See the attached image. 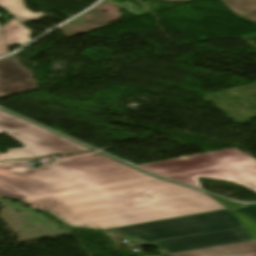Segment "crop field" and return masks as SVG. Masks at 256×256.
Segmentation results:
<instances>
[{"label": "crop field", "mask_w": 256, "mask_h": 256, "mask_svg": "<svg viewBox=\"0 0 256 256\" xmlns=\"http://www.w3.org/2000/svg\"><path fill=\"white\" fill-rule=\"evenodd\" d=\"M31 161L0 162V197L49 211L74 227L103 230L226 208L98 153L37 168L26 165Z\"/></svg>", "instance_id": "crop-field-1"}, {"label": "crop field", "mask_w": 256, "mask_h": 256, "mask_svg": "<svg viewBox=\"0 0 256 256\" xmlns=\"http://www.w3.org/2000/svg\"><path fill=\"white\" fill-rule=\"evenodd\" d=\"M138 167L199 188L197 178L205 176L240 183L256 191V160L236 148Z\"/></svg>", "instance_id": "crop-field-2"}, {"label": "crop field", "mask_w": 256, "mask_h": 256, "mask_svg": "<svg viewBox=\"0 0 256 256\" xmlns=\"http://www.w3.org/2000/svg\"><path fill=\"white\" fill-rule=\"evenodd\" d=\"M229 209L104 230L107 236L138 237L142 242L242 227Z\"/></svg>", "instance_id": "crop-field-3"}, {"label": "crop field", "mask_w": 256, "mask_h": 256, "mask_svg": "<svg viewBox=\"0 0 256 256\" xmlns=\"http://www.w3.org/2000/svg\"><path fill=\"white\" fill-rule=\"evenodd\" d=\"M44 130L0 111V135L5 132L26 146L8 149L7 154L1 156L13 160L89 150Z\"/></svg>", "instance_id": "crop-field-4"}, {"label": "crop field", "mask_w": 256, "mask_h": 256, "mask_svg": "<svg viewBox=\"0 0 256 256\" xmlns=\"http://www.w3.org/2000/svg\"><path fill=\"white\" fill-rule=\"evenodd\" d=\"M250 240H252L251 237L248 235L245 228H243L182 239L148 243L143 244V246H153L158 249L159 254H169Z\"/></svg>", "instance_id": "crop-field-5"}, {"label": "crop field", "mask_w": 256, "mask_h": 256, "mask_svg": "<svg viewBox=\"0 0 256 256\" xmlns=\"http://www.w3.org/2000/svg\"><path fill=\"white\" fill-rule=\"evenodd\" d=\"M26 70L12 56L0 59V98L38 89Z\"/></svg>", "instance_id": "crop-field-6"}, {"label": "crop field", "mask_w": 256, "mask_h": 256, "mask_svg": "<svg viewBox=\"0 0 256 256\" xmlns=\"http://www.w3.org/2000/svg\"><path fill=\"white\" fill-rule=\"evenodd\" d=\"M256 250V241L206 248L196 251L170 254V256H224Z\"/></svg>", "instance_id": "crop-field-7"}, {"label": "crop field", "mask_w": 256, "mask_h": 256, "mask_svg": "<svg viewBox=\"0 0 256 256\" xmlns=\"http://www.w3.org/2000/svg\"><path fill=\"white\" fill-rule=\"evenodd\" d=\"M31 32L14 19L2 27L3 39L7 47L10 45H22L29 41Z\"/></svg>", "instance_id": "crop-field-8"}, {"label": "crop field", "mask_w": 256, "mask_h": 256, "mask_svg": "<svg viewBox=\"0 0 256 256\" xmlns=\"http://www.w3.org/2000/svg\"><path fill=\"white\" fill-rule=\"evenodd\" d=\"M0 6L4 7L11 14H13L15 17H17L23 22L32 21L44 17L42 13L33 14L29 12L25 8L22 0H0Z\"/></svg>", "instance_id": "crop-field-9"}, {"label": "crop field", "mask_w": 256, "mask_h": 256, "mask_svg": "<svg viewBox=\"0 0 256 256\" xmlns=\"http://www.w3.org/2000/svg\"><path fill=\"white\" fill-rule=\"evenodd\" d=\"M168 2H180L186 0H161ZM225 6H227L233 13L242 16L252 12H256V0H222Z\"/></svg>", "instance_id": "crop-field-10"}, {"label": "crop field", "mask_w": 256, "mask_h": 256, "mask_svg": "<svg viewBox=\"0 0 256 256\" xmlns=\"http://www.w3.org/2000/svg\"><path fill=\"white\" fill-rule=\"evenodd\" d=\"M242 223L245 225L247 232L252 237L253 240H256V223L247 219L243 215L236 213Z\"/></svg>", "instance_id": "crop-field-11"}, {"label": "crop field", "mask_w": 256, "mask_h": 256, "mask_svg": "<svg viewBox=\"0 0 256 256\" xmlns=\"http://www.w3.org/2000/svg\"><path fill=\"white\" fill-rule=\"evenodd\" d=\"M108 2L117 6V7H119V8L127 10L128 12H130L131 14H133L135 16H140L142 14H145V12L142 11L141 9H139V8H138V10L132 9V7H134V8H137V7H135L134 5H132L131 3L127 2V1L123 4H121L119 2H116V1H112V0H110Z\"/></svg>", "instance_id": "crop-field-12"}, {"label": "crop field", "mask_w": 256, "mask_h": 256, "mask_svg": "<svg viewBox=\"0 0 256 256\" xmlns=\"http://www.w3.org/2000/svg\"><path fill=\"white\" fill-rule=\"evenodd\" d=\"M248 217L254 219L256 221V205L246 206L240 209H235Z\"/></svg>", "instance_id": "crop-field-13"}, {"label": "crop field", "mask_w": 256, "mask_h": 256, "mask_svg": "<svg viewBox=\"0 0 256 256\" xmlns=\"http://www.w3.org/2000/svg\"><path fill=\"white\" fill-rule=\"evenodd\" d=\"M8 53V50L3 42L1 31H0V55Z\"/></svg>", "instance_id": "crop-field-14"}, {"label": "crop field", "mask_w": 256, "mask_h": 256, "mask_svg": "<svg viewBox=\"0 0 256 256\" xmlns=\"http://www.w3.org/2000/svg\"><path fill=\"white\" fill-rule=\"evenodd\" d=\"M230 256H256V251L248 252V253H242V254H236V255H230Z\"/></svg>", "instance_id": "crop-field-15"}, {"label": "crop field", "mask_w": 256, "mask_h": 256, "mask_svg": "<svg viewBox=\"0 0 256 256\" xmlns=\"http://www.w3.org/2000/svg\"><path fill=\"white\" fill-rule=\"evenodd\" d=\"M242 17H246V18L256 22V13H252V14H249V15H246V16H242Z\"/></svg>", "instance_id": "crop-field-16"}, {"label": "crop field", "mask_w": 256, "mask_h": 256, "mask_svg": "<svg viewBox=\"0 0 256 256\" xmlns=\"http://www.w3.org/2000/svg\"><path fill=\"white\" fill-rule=\"evenodd\" d=\"M89 153H91V152H89ZM81 154H86V153H79V154L64 155V156H62V158L70 157V156H75V155H81Z\"/></svg>", "instance_id": "crop-field-17"}, {"label": "crop field", "mask_w": 256, "mask_h": 256, "mask_svg": "<svg viewBox=\"0 0 256 256\" xmlns=\"http://www.w3.org/2000/svg\"><path fill=\"white\" fill-rule=\"evenodd\" d=\"M0 160H5L4 158L0 157Z\"/></svg>", "instance_id": "crop-field-18"}]
</instances>
